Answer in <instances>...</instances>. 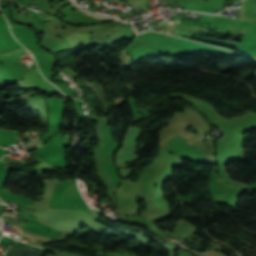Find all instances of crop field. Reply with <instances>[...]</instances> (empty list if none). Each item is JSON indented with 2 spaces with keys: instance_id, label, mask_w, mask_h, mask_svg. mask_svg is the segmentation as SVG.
<instances>
[{
  "instance_id": "1",
  "label": "crop field",
  "mask_w": 256,
  "mask_h": 256,
  "mask_svg": "<svg viewBox=\"0 0 256 256\" xmlns=\"http://www.w3.org/2000/svg\"><path fill=\"white\" fill-rule=\"evenodd\" d=\"M142 129L138 128H130L129 132L125 137V142L122 148L119 150L118 154H134L137 153L136 151V144L135 140L140 135Z\"/></svg>"
},
{
  "instance_id": "2",
  "label": "crop field",
  "mask_w": 256,
  "mask_h": 256,
  "mask_svg": "<svg viewBox=\"0 0 256 256\" xmlns=\"http://www.w3.org/2000/svg\"><path fill=\"white\" fill-rule=\"evenodd\" d=\"M176 33H182V34H188V30L193 31H205L204 29H201L199 27L191 26V25H184V24H174Z\"/></svg>"
},
{
  "instance_id": "3",
  "label": "crop field",
  "mask_w": 256,
  "mask_h": 256,
  "mask_svg": "<svg viewBox=\"0 0 256 256\" xmlns=\"http://www.w3.org/2000/svg\"><path fill=\"white\" fill-rule=\"evenodd\" d=\"M140 155L135 156H117L115 159V163H124V162H133L135 160H138Z\"/></svg>"
}]
</instances>
